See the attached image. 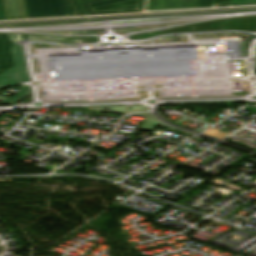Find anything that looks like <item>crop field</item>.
I'll return each mask as SVG.
<instances>
[{"label": "crop field", "mask_w": 256, "mask_h": 256, "mask_svg": "<svg viewBox=\"0 0 256 256\" xmlns=\"http://www.w3.org/2000/svg\"><path fill=\"white\" fill-rule=\"evenodd\" d=\"M10 41H13L14 46L11 48L15 66L0 75V89L12 85H20L22 82L29 80L28 74L25 73L23 65L26 64L23 46L16 44L17 41H22L21 35L9 34Z\"/></svg>", "instance_id": "obj_2"}, {"label": "crop field", "mask_w": 256, "mask_h": 256, "mask_svg": "<svg viewBox=\"0 0 256 256\" xmlns=\"http://www.w3.org/2000/svg\"><path fill=\"white\" fill-rule=\"evenodd\" d=\"M7 20L29 19L25 0H3Z\"/></svg>", "instance_id": "obj_4"}, {"label": "crop field", "mask_w": 256, "mask_h": 256, "mask_svg": "<svg viewBox=\"0 0 256 256\" xmlns=\"http://www.w3.org/2000/svg\"><path fill=\"white\" fill-rule=\"evenodd\" d=\"M214 0H199L197 7L213 6Z\"/></svg>", "instance_id": "obj_9"}, {"label": "crop field", "mask_w": 256, "mask_h": 256, "mask_svg": "<svg viewBox=\"0 0 256 256\" xmlns=\"http://www.w3.org/2000/svg\"><path fill=\"white\" fill-rule=\"evenodd\" d=\"M30 18L68 16L65 0H26Z\"/></svg>", "instance_id": "obj_3"}, {"label": "crop field", "mask_w": 256, "mask_h": 256, "mask_svg": "<svg viewBox=\"0 0 256 256\" xmlns=\"http://www.w3.org/2000/svg\"><path fill=\"white\" fill-rule=\"evenodd\" d=\"M230 5V0H215V6Z\"/></svg>", "instance_id": "obj_11"}, {"label": "crop field", "mask_w": 256, "mask_h": 256, "mask_svg": "<svg viewBox=\"0 0 256 256\" xmlns=\"http://www.w3.org/2000/svg\"><path fill=\"white\" fill-rule=\"evenodd\" d=\"M69 16L85 14L76 0H66Z\"/></svg>", "instance_id": "obj_7"}, {"label": "crop field", "mask_w": 256, "mask_h": 256, "mask_svg": "<svg viewBox=\"0 0 256 256\" xmlns=\"http://www.w3.org/2000/svg\"><path fill=\"white\" fill-rule=\"evenodd\" d=\"M82 1H87V0H80V2H82Z\"/></svg>", "instance_id": "obj_13"}, {"label": "crop field", "mask_w": 256, "mask_h": 256, "mask_svg": "<svg viewBox=\"0 0 256 256\" xmlns=\"http://www.w3.org/2000/svg\"><path fill=\"white\" fill-rule=\"evenodd\" d=\"M20 91L18 92L17 95L9 98L8 100L0 103V105H14L20 101H22L23 99L29 97L31 95V91H30V87L27 86H23L20 87Z\"/></svg>", "instance_id": "obj_6"}, {"label": "crop field", "mask_w": 256, "mask_h": 256, "mask_svg": "<svg viewBox=\"0 0 256 256\" xmlns=\"http://www.w3.org/2000/svg\"><path fill=\"white\" fill-rule=\"evenodd\" d=\"M8 34H0V74L14 66Z\"/></svg>", "instance_id": "obj_5"}, {"label": "crop field", "mask_w": 256, "mask_h": 256, "mask_svg": "<svg viewBox=\"0 0 256 256\" xmlns=\"http://www.w3.org/2000/svg\"><path fill=\"white\" fill-rule=\"evenodd\" d=\"M4 98H5V96L0 95V100H2V99H4Z\"/></svg>", "instance_id": "obj_12"}, {"label": "crop field", "mask_w": 256, "mask_h": 256, "mask_svg": "<svg viewBox=\"0 0 256 256\" xmlns=\"http://www.w3.org/2000/svg\"><path fill=\"white\" fill-rule=\"evenodd\" d=\"M145 0H93L82 2L89 15L142 11Z\"/></svg>", "instance_id": "obj_1"}, {"label": "crop field", "mask_w": 256, "mask_h": 256, "mask_svg": "<svg viewBox=\"0 0 256 256\" xmlns=\"http://www.w3.org/2000/svg\"><path fill=\"white\" fill-rule=\"evenodd\" d=\"M0 20H6L5 12H4V6H3V1L2 0H0Z\"/></svg>", "instance_id": "obj_10"}, {"label": "crop field", "mask_w": 256, "mask_h": 256, "mask_svg": "<svg viewBox=\"0 0 256 256\" xmlns=\"http://www.w3.org/2000/svg\"><path fill=\"white\" fill-rule=\"evenodd\" d=\"M256 4V0H231V5Z\"/></svg>", "instance_id": "obj_8"}]
</instances>
